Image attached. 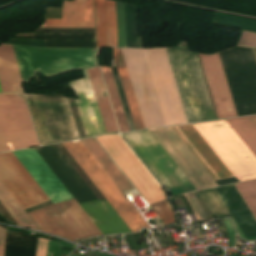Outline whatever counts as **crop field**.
<instances>
[{"label": "crop field", "mask_w": 256, "mask_h": 256, "mask_svg": "<svg viewBox=\"0 0 256 256\" xmlns=\"http://www.w3.org/2000/svg\"><path fill=\"white\" fill-rule=\"evenodd\" d=\"M199 193L214 217L230 215L214 188L200 190Z\"/></svg>", "instance_id": "730fd06b"}, {"label": "crop field", "mask_w": 256, "mask_h": 256, "mask_svg": "<svg viewBox=\"0 0 256 256\" xmlns=\"http://www.w3.org/2000/svg\"><path fill=\"white\" fill-rule=\"evenodd\" d=\"M185 197H186L187 200L189 201V203H190V205H191V207H192V210H193V212H194V214H195L197 220H198V221H199V220H202L201 217H200V215H199V213H198V211H197V209H196V207H195V205H194V203H193V201H192L191 198L188 196V194H186Z\"/></svg>", "instance_id": "e1f06a70"}, {"label": "crop field", "mask_w": 256, "mask_h": 256, "mask_svg": "<svg viewBox=\"0 0 256 256\" xmlns=\"http://www.w3.org/2000/svg\"><path fill=\"white\" fill-rule=\"evenodd\" d=\"M107 47H117L115 2L105 0Z\"/></svg>", "instance_id": "4177f3b9"}, {"label": "crop field", "mask_w": 256, "mask_h": 256, "mask_svg": "<svg viewBox=\"0 0 256 256\" xmlns=\"http://www.w3.org/2000/svg\"><path fill=\"white\" fill-rule=\"evenodd\" d=\"M118 47H126L124 4L116 2Z\"/></svg>", "instance_id": "d3111659"}, {"label": "crop field", "mask_w": 256, "mask_h": 256, "mask_svg": "<svg viewBox=\"0 0 256 256\" xmlns=\"http://www.w3.org/2000/svg\"><path fill=\"white\" fill-rule=\"evenodd\" d=\"M14 46L24 83L39 71L50 78L97 65L95 49H44Z\"/></svg>", "instance_id": "f4fd0767"}, {"label": "crop field", "mask_w": 256, "mask_h": 256, "mask_svg": "<svg viewBox=\"0 0 256 256\" xmlns=\"http://www.w3.org/2000/svg\"><path fill=\"white\" fill-rule=\"evenodd\" d=\"M79 141L76 143H64L63 145L131 231L138 232L143 227L150 228L82 141Z\"/></svg>", "instance_id": "e52e79f7"}, {"label": "crop field", "mask_w": 256, "mask_h": 256, "mask_svg": "<svg viewBox=\"0 0 256 256\" xmlns=\"http://www.w3.org/2000/svg\"><path fill=\"white\" fill-rule=\"evenodd\" d=\"M6 229L0 227V256H4Z\"/></svg>", "instance_id": "028f5c9d"}, {"label": "crop field", "mask_w": 256, "mask_h": 256, "mask_svg": "<svg viewBox=\"0 0 256 256\" xmlns=\"http://www.w3.org/2000/svg\"><path fill=\"white\" fill-rule=\"evenodd\" d=\"M181 199H182V201L184 202V200H183L182 196H181ZM184 204H185V202H184ZM185 206H186V208H187L188 212H190L186 204H185ZM190 214H191V213H190Z\"/></svg>", "instance_id": "0bd39190"}, {"label": "crop field", "mask_w": 256, "mask_h": 256, "mask_svg": "<svg viewBox=\"0 0 256 256\" xmlns=\"http://www.w3.org/2000/svg\"><path fill=\"white\" fill-rule=\"evenodd\" d=\"M256 155V116L227 119ZM226 120L194 125L239 181L256 178V157Z\"/></svg>", "instance_id": "ac0d7876"}, {"label": "crop field", "mask_w": 256, "mask_h": 256, "mask_svg": "<svg viewBox=\"0 0 256 256\" xmlns=\"http://www.w3.org/2000/svg\"><path fill=\"white\" fill-rule=\"evenodd\" d=\"M112 53L114 56L116 66L118 68V72H119L121 82H122V85L124 88V92H125V95L127 98V102H128L129 109H130V112L132 115V119H133V122L135 125V129L136 130L143 129L145 127H144V124L142 121V117H141V114H140V111H139V108L137 105V101H136L133 89H132L131 82H130V79H129V76L127 73V69H126V66H125V63H124V60L122 57L121 50L112 48Z\"/></svg>", "instance_id": "00972430"}, {"label": "crop field", "mask_w": 256, "mask_h": 256, "mask_svg": "<svg viewBox=\"0 0 256 256\" xmlns=\"http://www.w3.org/2000/svg\"><path fill=\"white\" fill-rule=\"evenodd\" d=\"M48 240L38 238L36 256H46Z\"/></svg>", "instance_id": "d32e631a"}, {"label": "crop field", "mask_w": 256, "mask_h": 256, "mask_svg": "<svg viewBox=\"0 0 256 256\" xmlns=\"http://www.w3.org/2000/svg\"><path fill=\"white\" fill-rule=\"evenodd\" d=\"M13 153L53 203L72 198L34 149L14 151ZM29 214L42 231L75 242L91 236L102 235L73 198Z\"/></svg>", "instance_id": "8a807250"}, {"label": "crop field", "mask_w": 256, "mask_h": 256, "mask_svg": "<svg viewBox=\"0 0 256 256\" xmlns=\"http://www.w3.org/2000/svg\"><path fill=\"white\" fill-rule=\"evenodd\" d=\"M89 77L107 134L118 133L98 66L88 68Z\"/></svg>", "instance_id": "92a150f3"}, {"label": "crop field", "mask_w": 256, "mask_h": 256, "mask_svg": "<svg viewBox=\"0 0 256 256\" xmlns=\"http://www.w3.org/2000/svg\"><path fill=\"white\" fill-rule=\"evenodd\" d=\"M121 170L140 164L118 135L97 138ZM135 188L148 204L165 199V194L142 164L123 170ZM164 224L176 221L175 214L167 199L150 204Z\"/></svg>", "instance_id": "dd49c442"}, {"label": "crop field", "mask_w": 256, "mask_h": 256, "mask_svg": "<svg viewBox=\"0 0 256 256\" xmlns=\"http://www.w3.org/2000/svg\"><path fill=\"white\" fill-rule=\"evenodd\" d=\"M82 141L99 161V163L103 166V168L107 171V173L111 176V178L115 181L123 193L135 190L94 138L84 139Z\"/></svg>", "instance_id": "dafd665d"}, {"label": "crop field", "mask_w": 256, "mask_h": 256, "mask_svg": "<svg viewBox=\"0 0 256 256\" xmlns=\"http://www.w3.org/2000/svg\"><path fill=\"white\" fill-rule=\"evenodd\" d=\"M238 46L256 48V33L242 31Z\"/></svg>", "instance_id": "1d83c4d3"}, {"label": "crop field", "mask_w": 256, "mask_h": 256, "mask_svg": "<svg viewBox=\"0 0 256 256\" xmlns=\"http://www.w3.org/2000/svg\"><path fill=\"white\" fill-rule=\"evenodd\" d=\"M235 187L256 219V180L235 184Z\"/></svg>", "instance_id": "eef30255"}, {"label": "crop field", "mask_w": 256, "mask_h": 256, "mask_svg": "<svg viewBox=\"0 0 256 256\" xmlns=\"http://www.w3.org/2000/svg\"><path fill=\"white\" fill-rule=\"evenodd\" d=\"M121 50L145 127L148 128L165 125L143 50Z\"/></svg>", "instance_id": "d1516ede"}, {"label": "crop field", "mask_w": 256, "mask_h": 256, "mask_svg": "<svg viewBox=\"0 0 256 256\" xmlns=\"http://www.w3.org/2000/svg\"><path fill=\"white\" fill-rule=\"evenodd\" d=\"M165 124L187 122L164 48L143 49Z\"/></svg>", "instance_id": "3316defc"}, {"label": "crop field", "mask_w": 256, "mask_h": 256, "mask_svg": "<svg viewBox=\"0 0 256 256\" xmlns=\"http://www.w3.org/2000/svg\"><path fill=\"white\" fill-rule=\"evenodd\" d=\"M171 127L214 180L233 176L192 124Z\"/></svg>", "instance_id": "d9b57169"}, {"label": "crop field", "mask_w": 256, "mask_h": 256, "mask_svg": "<svg viewBox=\"0 0 256 256\" xmlns=\"http://www.w3.org/2000/svg\"><path fill=\"white\" fill-rule=\"evenodd\" d=\"M46 21L42 27L94 28L93 0L65 1L62 20Z\"/></svg>", "instance_id": "4a817a6b"}, {"label": "crop field", "mask_w": 256, "mask_h": 256, "mask_svg": "<svg viewBox=\"0 0 256 256\" xmlns=\"http://www.w3.org/2000/svg\"><path fill=\"white\" fill-rule=\"evenodd\" d=\"M97 46L106 47L104 0H95Z\"/></svg>", "instance_id": "ae1a2a85"}, {"label": "crop field", "mask_w": 256, "mask_h": 256, "mask_svg": "<svg viewBox=\"0 0 256 256\" xmlns=\"http://www.w3.org/2000/svg\"><path fill=\"white\" fill-rule=\"evenodd\" d=\"M35 38L95 39V33H34Z\"/></svg>", "instance_id": "bd1437ed"}, {"label": "crop field", "mask_w": 256, "mask_h": 256, "mask_svg": "<svg viewBox=\"0 0 256 256\" xmlns=\"http://www.w3.org/2000/svg\"><path fill=\"white\" fill-rule=\"evenodd\" d=\"M149 131L191 181L196 190L217 186L171 127L150 129Z\"/></svg>", "instance_id": "22f410ed"}, {"label": "crop field", "mask_w": 256, "mask_h": 256, "mask_svg": "<svg viewBox=\"0 0 256 256\" xmlns=\"http://www.w3.org/2000/svg\"><path fill=\"white\" fill-rule=\"evenodd\" d=\"M215 190L228 208L246 240L256 239V221L235 189L234 185L218 187L215 188ZM236 224L235 227L238 235L244 238Z\"/></svg>", "instance_id": "733c2abd"}, {"label": "crop field", "mask_w": 256, "mask_h": 256, "mask_svg": "<svg viewBox=\"0 0 256 256\" xmlns=\"http://www.w3.org/2000/svg\"><path fill=\"white\" fill-rule=\"evenodd\" d=\"M0 202L17 221L18 224L37 229V227L34 225L35 223L33 224L30 218L26 215V213L22 210V208L19 206V204L15 201V199L11 196V194L1 182Z\"/></svg>", "instance_id": "a9b5d70f"}, {"label": "crop field", "mask_w": 256, "mask_h": 256, "mask_svg": "<svg viewBox=\"0 0 256 256\" xmlns=\"http://www.w3.org/2000/svg\"><path fill=\"white\" fill-rule=\"evenodd\" d=\"M0 180L23 209L49 201L12 152L0 153Z\"/></svg>", "instance_id": "cbeb9de0"}, {"label": "crop field", "mask_w": 256, "mask_h": 256, "mask_svg": "<svg viewBox=\"0 0 256 256\" xmlns=\"http://www.w3.org/2000/svg\"><path fill=\"white\" fill-rule=\"evenodd\" d=\"M0 87L2 93H23L17 60L13 46L9 44L0 46Z\"/></svg>", "instance_id": "214f88e0"}, {"label": "crop field", "mask_w": 256, "mask_h": 256, "mask_svg": "<svg viewBox=\"0 0 256 256\" xmlns=\"http://www.w3.org/2000/svg\"><path fill=\"white\" fill-rule=\"evenodd\" d=\"M165 49L187 121L216 119L197 54L180 47Z\"/></svg>", "instance_id": "412701ff"}, {"label": "crop field", "mask_w": 256, "mask_h": 256, "mask_svg": "<svg viewBox=\"0 0 256 256\" xmlns=\"http://www.w3.org/2000/svg\"><path fill=\"white\" fill-rule=\"evenodd\" d=\"M219 119L234 117L236 111L219 54H199Z\"/></svg>", "instance_id": "5142ce71"}, {"label": "crop field", "mask_w": 256, "mask_h": 256, "mask_svg": "<svg viewBox=\"0 0 256 256\" xmlns=\"http://www.w3.org/2000/svg\"><path fill=\"white\" fill-rule=\"evenodd\" d=\"M224 223L226 225L228 234H229V243L228 244H234V234H235V230L234 227L230 221V219L224 220Z\"/></svg>", "instance_id": "5866460e"}, {"label": "crop field", "mask_w": 256, "mask_h": 256, "mask_svg": "<svg viewBox=\"0 0 256 256\" xmlns=\"http://www.w3.org/2000/svg\"><path fill=\"white\" fill-rule=\"evenodd\" d=\"M100 67H101V70H102V73H103V77H104V80H105V83H106V86H107V90H108V93H109V97H110V100H111V103H112V107H113V110H114V114H115L116 121H117L120 132L135 130L134 126H133L131 116H130V112H129V109H128V106H127V103H126V99H125V96H124V93H123V89H122V86H121V83H120V79H119V76H118V73H117V70H116V67H113L111 69H112V73H113L115 83H116V86H117V89H118V93H119V96H120V99H121V103H122L123 110H124V113H125V116H126V120H127L128 126H129V130H128V126H127L125 116H124V113H123V110H122V106H121V103H120V100H119V96H118L117 89H116V86H115V83H114V79H113V76H112V73H111V69L109 67H105V66H100Z\"/></svg>", "instance_id": "bc2a9ffb"}, {"label": "crop field", "mask_w": 256, "mask_h": 256, "mask_svg": "<svg viewBox=\"0 0 256 256\" xmlns=\"http://www.w3.org/2000/svg\"><path fill=\"white\" fill-rule=\"evenodd\" d=\"M36 150L79 204L98 200L55 145ZM80 206L103 235L131 232L106 200Z\"/></svg>", "instance_id": "34b2d1b8"}, {"label": "crop field", "mask_w": 256, "mask_h": 256, "mask_svg": "<svg viewBox=\"0 0 256 256\" xmlns=\"http://www.w3.org/2000/svg\"><path fill=\"white\" fill-rule=\"evenodd\" d=\"M44 47L87 48L95 47V41L45 40Z\"/></svg>", "instance_id": "750c4746"}, {"label": "crop field", "mask_w": 256, "mask_h": 256, "mask_svg": "<svg viewBox=\"0 0 256 256\" xmlns=\"http://www.w3.org/2000/svg\"><path fill=\"white\" fill-rule=\"evenodd\" d=\"M256 58V50H253ZM252 50L232 48L220 52L238 116L256 114V61Z\"/></svg>", "instance_id": "d8731c3e"}, {"label": "crop field", "mask_w": 256, "mask_h": 256, "mask_svg": "<svg viewBox=\"0 0 256 256\" xmlns=\"http://www.w3.org/2000/svg\"><path fill=\"white\" fill-rule=\"evenodd\" d=\"M60 246L75 248L74 245L66 244L63 242H53L49 240L48 253L52 254V256H59ZM49 254L48 256H51Z\"/></svg>", "instance_id": "120bbe31"}, {"label": "crop field", "mask_w": 256, "mask_h": 256, "mask_svg": "<svg viewBox=\"0 0 256 256\" xmlns=\"http://www.w3.org/2000/svg\"><path fill=\"white\" fill-rule=\"evenodd\" d=\"M22 95H0V151L39 146Z\"/></svg>", "instance_id": "5a996713"}, {"label": "crop field", "mask_w": 256, "mask_h": 256, "mask_svg": "<svg viewBox=\"0 0 256 256\" xmlns=\"http://www.w3.org/2000/svg\"><path fill=\"white\" fill-rule=\"evenodd\" d=\"M122 135L162 185H168L170 189L190 185L148 130Z\"/></svg>", "instance_id": "28ad6ade"}]
</instances>
